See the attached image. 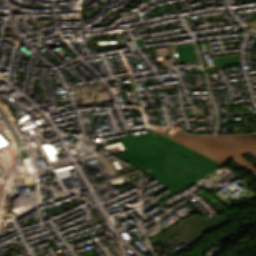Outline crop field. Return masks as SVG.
Masks as SVG:
<instances>
[{"label": "crop field", "mask_w": 256, "mask_h": 256, "mask_svg": "<svg viewBox=\"0 0 256 256\" xmlns=\"http://www.w3.org/2000/svg\"><path fill=\"white\" fill-rule=\"evenodd\" d=\"M127 152L116 154L136 165L173 191L190 184L221 164L155 132L124 137Z\"/></svg>", "instance_id": "obj_1"}, {"label": "crop field", "mask_w": 256, "mask_h": 256, "mask_svg": "<svg viewBox=\"0 0 256 256\" xmlns=\"http://www.w3.org/2000/svg\"><path fill=\"white\" fill-rule=\"evenodd\" d=\"M155 132L170 137L222 164L233 158V160L247 168L256 176V168L249 161L218 140L214 135L192 136L172 129L166 134L158 131Z\"/></svg>", "instance_id": "obj_2"}, {"label": "crop field", "mask_w": 256, "mask_h": 256, "mask_svg": "<svg viewBox=\"0 0 256 256\" xmlns=\"http://www.w3.org/2000/svg\"><path fill=\"white\" fill-rule=\"evenodd\" d=\"M221 141L239 153L256 157V139L251 135H216Z\"/></svg>", "instance_id": "obj_3"}, {"label": "crop field", "mask_w": 256, "mask_h": 256, "mask_svg": "<svg viewBox=\"0 0 256 256\" xmlns=\"http://www.w3.org/2000/svg\"><path fill=\"white\" fill-rule=\"evenodd\" d=\"M247 25L256 28V20L252 22H248Z\"/></svg>", "instance_id": "obj_4"}]
</instances>
